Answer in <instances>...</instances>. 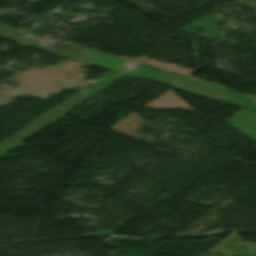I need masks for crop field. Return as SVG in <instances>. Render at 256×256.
<instances>
[{
  "label": "crop field",
  "mask_w": 256,
  "mask_h": 256,
  "mask_svg": "<svg viewBox=\"0 0 256 256\" xmlns=\"http://www.w3.org/2000/svg\"><path fill=\"white\" fill-rule=\"evenodd\" d=\"M244 244H245L247 250L249 251V253L256 255V244L255 243L244 242Z\"/></svg>",
  "instance_id": "crop-field-1"
}]
</instances>
